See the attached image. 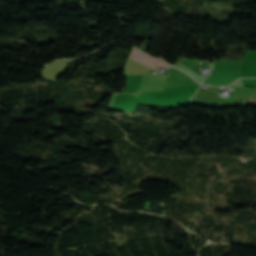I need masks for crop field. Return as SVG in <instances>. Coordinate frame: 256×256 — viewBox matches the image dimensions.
<instances>
[{
  "label": "crop field",
  "instance_id": "crop-field-1",
  "mask_svg": "<svg viewBox=\"0 0 256 256\" xmlns=\"http://www.w3.org/2000/svg\"><path fill=\"white\" fill-rule=\"evenodd\" d=\"M132 52H134V53H136V54H138V55H140V56H142V57H145V58H147V59H150V60H152V61H154V62H156V63H158V64H160V65H163V66H166V67H169V66H170V65H168V64H166V63H163V62H161V61H158V60H156V59H153V58H151V57H149V56H147V55H145V54H143V53H141V52H139V51H137V50H135V49H133ZM134 53H132V54H134ZM132 54H131L130 58H132V59H134V60H136V61H138V62H140V63H142V64H145V65H147V66H149V67H151V68H153V69H155L156 66L163 67V66L157 65V64H155V63H153V62H151V61H149V60H147V59H145V58H142V57H140V56L134 54V55H136V56H138V57H140V58H142V59H144V60H146V61H148V62L154 64V65H156V66H154V65H152V64H150V63H148V62H146V61H144V60H142V59H140V58H138V57H136V56H134V55H132Z\"/></svg>",
  "mask_w": 256,
  "mask_h": 256
}]
</instances>
